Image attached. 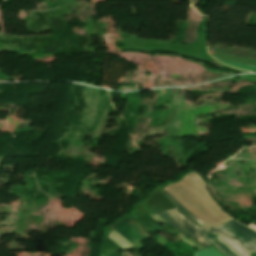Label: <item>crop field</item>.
I'll list each match as a JSON object with an SVG mask.
<instances>
[{"mask_svg":"<svg viewBox=\"0 0 256 256\" xmlns=\"http://www.w3.org/2000/svg\"><path fill=\"white\" fill-rule=\"evenodd\" d=\"M200 234L226 256H249L256 253V231L235 220L214 228L201 226Z\"/></svg>","mask_w":256,"mask_h":256,"instance_id":"obj_1","label":"crop field"},{"mask_svg":"<svg viewBox=\"0 0 256 256\" xmlns=\"http://www.w3.org/2000/svg\"><path fill=\"white\" fill-rule=\"evenodd\" d=\"M156 214L160 218H162L168 225L174 227L177 231L185 233L190 237L196 239L205 247L211 245L199 234L200 227L195 225L191 219L184 216L176 209L159 211Z\"/></svg>","mask_w":256,"mask_h":256,"instance_id":"obj_2","label":"crop field"},{"mask_svg":"<svg viewBox=\"0 0 256 256\" xmlns=\"http://www.w3.org/2000/svg\"><path fill=\"white\" fill-rule=\"evenodd\" d=\"M112 241L118 244L123 249H132L134 248L131 244H129L126 240H124L121 236H119L116 232L112 230L109 237Z\"/></svg>","mask_w":256,"mask_h":256,"instance_id":"obj_3","label":"crop field"},{"mask_svg":"<svg viewBox=\"0 0 256 256\" xmlns=\"http://www.w3.org/2000/svg\"><path fill=\"white\" fill-rule=\"evenodd\" d=\"M195 256H224V255H222L214 247H208V248L203 249L201 251L195 252Z\"/></svg>","mask_w":256,"mask_h":256,"instance_id":"obj_4","label":"crop field"},{"mask_svg":"<svg viewBox=\"0 0 256 256\" xmlns=\"http://www.w3.org/2000/svg\"><path fill=\"white\" fill-rule=\"evenodd\" d=\"M217 60L230 65L232 67H236V68H240V69H245V70H256L255 66H250V65H245V64H240V63H235V62H231V61H227V60H223V59H219L216 58Z\"/></svg>","mask_w":256,"mask_h":256,"instance_id":"obj_5","label":"crop field"},{"mask_svg":"<svg viewBox=\"0 0 256 256\" xmlns=\"http://www.w3.org/2000/svg\"><path fill=\"white\" fill-rule=\"evenodd\" d=\"M163 194L169 199V201L175 205L176 207H179L180 209H182L185 213H187L189 216H191L192 218H194L195 220H197L198 222L202 223L200 220H198L197 218H195L193 215H191L187 210H185L179 203H177L172 197H170L166 192H164L162 190ZM204 224V223H202Z\"/></svg>","mask_w":256,"mask_h":256,"instance_id":"obj_6","label":"crop field"},{"mask_svg":"<svg viewBox=\"0 0 256 256\" xmlns=\"http://www.w3.org/2000/svg\"><path fill=\"white\" fill-rule=\"evenodd\" d=\"M180 237H181V240L185 241L189 245H191L193 247H196L198 249H203V247L199 243H197L196 241H194V240H192V239H190V238H188V237H186L182 234H180Z\"/></svg>","mask_w":256,"mask_h":256,"instance_id":"obj_7","label":"crop field"},{"mask_svg":"<svg viewBox=\"0 0 256 256\" xmlns=\"http://www.w3.org/2000/svg\"><path fill=\"white\" fill-rule=\"evenodd\" d=\"M151 218H153L155 221H158V222H164L162 219H160L156 214L154 215H150ZM165 223V222H164Z\"/></svg>","mask_w":256,"mask_h":256,"instance_id":"obj_8","label":"crop field"},{"mask_svg":"<svg viewBox=\"0 0 256 256\" xmlns=\"http://www.w3.org/2000/svg\"><path fill=\"white\" fill-rule=\"evenodd\" d=\"M249 226L252 227V228H254V229H256V225H254V224H252V223H251Z\"/></svg>","mask_w":256,"mask_h":256,"instance_id":"obj_9","label":"crop field"},{"mask_svg":"<svg viewBox=\"0 0 256 256\" xmlns=\"http://www.w3.org/2000/svg\"><path fill=\"white\" fill-rule=\"evenodd\" d=\"M101 256H103V255L101 254Z\"/></svg>","mask_w":256,"mask_h":256,"instance_id":"obj_10","label":"crop field"}]
</instances>
